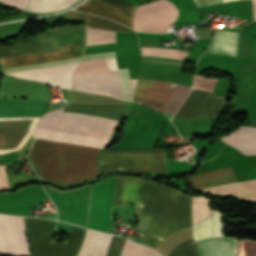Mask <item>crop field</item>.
<instances>
[{"label":"crop field","mask_w":256,"mask_h":256,"mask_svg":"<svg viewBox=\"0 0 256 256\" xmlns=\"http://www.w3.org/2000/svg\"><path fill=\"white\" fill-rule=\"evenodd\" d=\"M100 150L34 139L29 156L43 179L73 184L99 177L96 156Z\"/></svg>","instance_id":"crop-field-1"},{"label":"crop field","mask_w":256,"mask_h":256,"mask_svg":"<svg viewBox=\"0 0 256 256\" xmlns=\"http://www.w3.org/2000/svg\"><path fill=\"white\" fill-rule=\"evenodd\" d=\"M31 256H77L85 229L72 227L67 245L51 243L54 221L25 217Z\"/></svg>","instance_id":"crop-field-2"},{"label":"crop field","mask_w":256,"mask_h":256,"mask_svg":"<svg viewBox=\"0 0 256 256\" xmlns=\"http://www.w3.org/2000/svg\"><path fill=\"white\" fill-rule=\"evenodd\" d=\"M43 187L58 209V220L86 227L91 185L64 192Z\"/></svg>","instance_id":"crop-field-3"},{"label":"crop field","mask_w":256,"mask_h":256,"mask_svg":"<svg viewBox=\"0 0 256 256\" xmlns=\"http://www.w3.org/2000/svg\"><path fill=\"white\" fill-rule=\"evenodd\" d=\"M114 181L115 176L92 185L87 228L108 233Z\"/></svg>","instance_id":"crop-field-4"},{"label":"crop field","mask_w":256,"mask_h":256,"mask_svg":"<svg viewBox=\"0 0 256 256\" xmlns=\"http://www.w3.org/2000/svg\"><path fill=\"white\" fill-rule=\"evenodd\" d=\"M105 60L108 72L72 76L73 89L89 93L106 94L122 99L116 59Z\"/></svg>","instance_id":"crop-field-5"},{"label":"crop field","mask_w":256,"mask_h":256,"mask_svg":"<svg viewBox=\"0 0 256 256\" xmlns=\"http://www.w3.org/2000/svg\"><path fill=\"white\" fill-rule=\"evenodd\" d=\"M176 13L175 7L165 0L148 3L137 8L133 26L142 31L166 32Z\"/></svg>","instance_id":"crop-field-6"},{"label":"crop field","mask_w":256,"mask_h":256,"mask_svg":"<svg viewBox=\"0 0 256 256\" xmlns=\"http://www.w3.org/2000/svg\"><path fill=\"white\" fill-rule=\"evenodd\" d=\"M112 237L109 234L87 229L78 256H106ZM120 256H160V254L125 240Z\"/></svg>","instance_id":"crop-field-7"},{"label":"crop field","mask_w":256,"mask_h":256,"mask_svg":"<svg viewBox=\"0 0 256 256\" xmlns=\"http://www.w3.org/2000/svg\"><path fill=\"white\" fill-rule=\"evenodd\" d=\"M0 253L29 256L22 217L0 214Z\"/></svg>","instance_id":"crop-field-8"},{"label":"crop field","mask_w":256,"mask_h":256,"mask_svg":"<svg viewBox=\"0 0 256 256\" xmlns=\"http://www.w3.org/2000/svg\"><path fill=\"white\" fill-rule=\"evenodd\" d=\"M48 198L41 186L24 188L14 193H0V213L30 215L29 209Z\"/></svg>","instance_id":"crop-field-9"},{"label":"crop field","mask_w":256,"mask_h":256,"mask_svg":"<svg viewBox=\"0 0 256 256\" xmlns=\"http://www.w3.org/2000/svg\"><path fill=\"white\" fill-rule=\"evenodd\" d=\"M61 50L0 59L2 69L45 63L83 55L84 39L59 46Z\"/></svg>","instance_id":"crop-field-10"},{"label":"crop field","mask_w":256,"mask_h":256,"mask_svg":"<svg viewBox=\"0 0 256 256\" xmlns=\"http://www.w3.org/2000/svg\"><path fill=\"white\" fill-rule=\"evenodd\" d=\"M137 6L120 0H87L76 10L104 16L130 27L132 26V17Z\"/></svg>","instance_id":"crop-field-11"},{"label":"crop field","mask_w":256,"mask_h":256,"mask_svg":"<svg viewBox=\"0 0 256 256\" xmlns=\"http://www.w3.org/2000/svg\"><path fill=\"white\" fill-rule=\"evenodd\" d=\"M78 64L79 62L45 67L40 69L12 72L7 74L45 81L57 86H62L70 89L72 88L71 74Z\"/></svg>","instance_id":"crop-field-12"},{"label":"crop field","mask_w":256,"mask_h":256,"mask_svg":"<svg viewBox=\"0 0 256 256\" xmlns=\"http://www.w3.org/2000/svg\"><path fill=\"white\" fill-rule=\"evenodd\" d=\"M45 112V100H0V117L42 116Z\"/></svg>","instance_id":"crop-field-13"},{"label":"crop field","mask_w":256,"mask_h":256,"mask_svg":"<svg viewBox=\"0 0 256 256\" xmlns=\"http://www.w3.org/2000/svg\"><path fill=\"white\" fill-rule=\"evenodd\" d=\"M34 138L104 148L105 139L35 128Z\"/></svg>","instance_id":"crop-field-14"},{"label":"crop field","mask_w":256,"mask_h":256,"mask_svg":"<svg viewBox=\"0 0 256 256\" xmlns=\"http://www.w3.org/2000/svg\"><path fill=\"white\" fill-rule=\"evenodd\" d=\"M220 140L234 146L245 155L256 154V128L240 126L236 131L220 137Z\"/></svg>","instance_id":"crop-field-15"},{"label":"crop field","mask_w":256,"mask_h":256,"mask_svg":"<svg viewBox=\"0 0 256 256\" xmlns=\"http://www.w3.org/2000/svg\"><path fill=\"white\" fill-rule=\"evenodd\" d=\"M210 194H235L242 200L256 201V179L201 189Z\"/></svg>","instance_id":"crop-field-16"},{"label":"crop field","mask_w":256,"mask_h":256,"mask_svg":"<svg viewBox=\"0 0 256 256\" xmlns=\"http://www.w3.org/2000/svg\"><path fill=\"white\" fill-rule=\"evenodd\" d=\"M196 244L201 256H233L237 241L234 238H211Z\"/></svg>","instance_id":"crop-field-17"},{"label":"crop field","mask_w":256,"mask_h":256,"mask_svg":"<svg viewBox=\"0 0 256 256\" xmlns=\"http://www.w3.org/2000/svg\"><path fill=\"white\" fill-rule=\"evenodd\" d=\"M213 215L193 225V238L195 241L205 238L223 236L222 214L212 210Z\"/></svg>","instance_id":"crop-field-18"},{"label":"crop field","mask_w":256,"mask_h":256,"mask_svg":"<svg viewBox=\"0 0 256 256\" xmlns=\"http://www.w3.org/2000/svg\"><path fill=\"white\" fill-rule=\"evenodd\" d=\"M238 41L239 33L217 30L213 46L207 53L236 57Z\"/></svg>","instance_id":"crop-field-19"},{"label":"crop field","mask_w":256,"mask_h":256,"mask_svg":"<svg viewBox=\"0 0 256 256\" xmlns=\"http://www.w3.org/2000/svg\"><path fill=\"white\" fill-rule=\"evenodd\" d=\"M76 18L83 19L85 25L88 27L99 28V29H109L113 31H121V32H135L121 24H118L112 20H106L104 18L95 17L92 15L82 14L76 11L64 14Z\"/></svg>","instance_id":"crop-field-20"},{"label":"crop field","mask_w":256,"mask_h":256,"mask_svg":"<svg viewBox=\"0 0 256 256\" xmlns=\"http://www.w3.org/2000/svg\"><path fill=\"white\" fill-rule=\"evenodd\" d=\"M80 0H30L26 9L51 12L58 11L76 4Z\"/></svg>","instance_id":"crop-field-21"},{"label":"crop field","mask_w":256,"mask_h":256,"mask_svg":"<svg viewBox=\"0 0 256 256\" xmlns=\"http://www.w3.org/2000/svg\"><path fill=\"white\" fill-rule=\"evenodd\" d=\"M32 53L41 52L36 41H27ZM26 41L15 43L8 46H0V57H10L31 54Z\"/></svg>","instance_id":"crop-field-22"},{"label":"crop field","mask_w":256,"mask_h":256,"mask_svg":"<svg viewBox=\"0 0 256 256\" xmlns=\"http://www.w3.org/2000/svg\"><path fill=\"white\" fill-rule=\"evenodd\" d=\"M192 197V218L193 224L212 215L211 200L204 196Z\"/></svg>","instance_id":"crop-field-23"},{"label":"crop field","mask_w":256,"mask_h":256,"mask_svg":"<svg viewBox=\"0 0 256 256\" xmlns=\"http://www.w3.org/2000/svg\"><path fill=\"white\" fill-rule=\"evenodd\" d=\"M142 56L172 58L184 61L188 52L178 49L141 47Z\"/></svg>","instance_id":"crop-field-24"},{"label":"crop field","mask_w":256,"mask_h":256,"mask_svg":"<svg viewBox=\"0 0 256 256\" xmlns=\"http://www.w3.org/2000/svg\"><path fill=\"white\" fill-rule=\"evenodd\" d=\"M115 42V32L86 27V45Z\"/></svg>","instance_id":"crop-field-25"},{"label":"crop field","mask_w":256,"mask_h":256,"mask_svg":"<svg viewBox=\"0 0 256 256\" xmlns=\"http://www.w3.org/2000/svg\"><path fill=\"white\" fill-rule=\"evenodd\" d=\"M107 71L104 59L81 62L73 75Z\"/></svg>","instance_id":"crop-field-26"},{"label":"crop field","mask_w":256,"mask_h":256,"mask_svg":"<svg viewBox=\"0 0 256 256\" xmlns=\"http://www.w3.org/2000/svg\"><path fill=\"white\" fill-rule=\"evenodd\" d=\"M238 256H256V242L243 240Z\"/></svg>","instance_id":"crop-field-27"},{"label":"crop field","mask_w":256,"mask_h":256,"mask_svg":"<svg viewBox=\"0 0 256 256\" xmlns=\"http://www.w3.org/2000/svg\"><path fill=\"white\" fill-rule=\"evenodd\" d=\"M81 58L82 57L75 58V59H69V60H63V61H57V62H51V63H45V64H38V65H32V66H25V67H18V68H12V69H5V70H2V73H4V72H11V71H18V70H24V69L40 68V67L57 65V64H63V63H69V62H76V61H80Z\"/></svg>","instance_id":"crop-field-28"},{"label":"crop field","mask_w":256,"mask_h":256,"mask_svg":"<svg viewBox=\"0 0 256 256\" xmlns=\"http://www.w3.org/2000/svg\"><path fill=\"white\" fill-rule=\"evenodd\" d=\"M122 83V94L123 99L128 100L130 92L129 76L127 68L119 69Z\"/></svg>","instance_id":"crop-field-29"},{"label":"crop field","mask_w":256,"mask_h":256,"mask_svg":"<svg viewBox=\"0 0 256 256\" xmlns=\"http://www.w3.org/2000/svg\"><path fill=\"white\" fill-rule=\"evenodd\" d=\"M110 57H115L114 52L87 54V55H84L83 61L101 59V58H110Z\"/></svg>","instance_id":"crop-field-30"},{"label":"crop field","mask_w":256,"mask_h":256,"mask_svg":"<svg viewBox=\"0 0 256 256\" xmlns=\"http://www.w3.org/2000/svg\"><path fill=\"white\" fill-rule=\"evenodd\" d=\"M0 2L25 9L28 0H0Z\"/></svg>","instance_id":"crop-field-31"},{"label":"crop field","mask_w":256,"mask_h":256,"mask_svg":"<svg viewBox=\"0 0 256 256\" xmlns=\"http://www.w3.org/2000/svg\"><path fill=\"white\" fill-rule=\"evenodd\" d=\"M193 1L197 8L221 3V0H193Z\"/></svg>","instance_id":"crop-field-32"},{"label":"crop field","mask_w":256,"mask_h":256,"mask_svg":"<svg viewBox=\"0 0 256 256\" xmlns=\"http://www.w3.org/2000/svg\"><path fill=\"white\" fill-rule=\"evenodd\" d=\"M6 188H7L6 176H5L4 166L2 164L0 165V189H6Z\"/></svg>","instance_id":"crop-field-33"},{"label":"crop field","mask_w":256,"mask_h":256,"mask_svg":"<svg viewBox=\"0 0 256 256\" xmlns=\"http://www.w3.org/2000/svg\"><path fill=\"white\" fill-rule=\"evenodd\" d=\"M136 81H137V79H130L131 92H130V98H129V100H132V98H133V94H134L135 86H136Z\"/></svg>","instance_id":"crop-field-34"},{"label":"crop field","mask_w":256,"mask_h":256,"mask_svg":"<svg viewBox=\"0 0 256 256\" xmlns=\"http://www.w3.org/2000/svg\"><path fill=\"white\" fill-rule=\"evenodd\" d=\"M226 1H234V0H222V2H226Z\"/></svg>","instance_id":"crop-field-35"}]
</instances>
